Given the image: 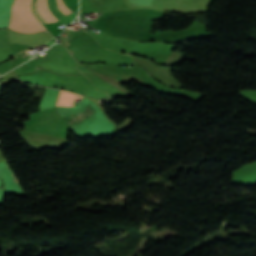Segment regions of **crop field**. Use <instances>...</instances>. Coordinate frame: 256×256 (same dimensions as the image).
<instances>
[{
    "label": "crop field",
    "mask_w": 256,
    "mask_h": 256,
    "mask_svg": "<svg viewBox=\"0 0 256 256\" xmlns=\"http://www.w3.org/2000/svg\"><path fill=\"white\" fill-rule=\"evenodd\" d=\"M20 12L24 18V20L30 25V27L35 31H42L44 28L47 30L45 27H43L40 22L37 24L42 28H40L35 22L38 21L34 14L31 11V0H20ZM19 13V0H15L13 5H12V16L10 20V25L9 27L17 30L18 32H25V33H32L34 32L29 25L24 21ZM43 29V30H44ZM16 31V32H17Z\"/></svg>",
    "instance_id": "crop-field-1"
},
{
    "label": "crop field",
    "mask_w": 256,
    "mask_h": 256,
    "mask_svg": "<svg viewBox=\"0 0 256 256\" xmlns=\"http://www.w3.org/2000/svg\"><path fill=\"white\" fill-rule=\"evenodd\" d=\"M41 0H33L32 8L33 12L36 14V16L39 18V20L42 22V24L48 22L49 20L47 17L43 14L40 7ZM52 7L54 10L58 13V15H62L65 12H69L63 5L62 0H51Z\"/></svg>",
    "instance_id": "crop-field-2"
}]
</instances>
